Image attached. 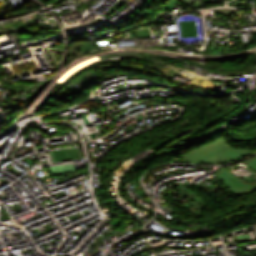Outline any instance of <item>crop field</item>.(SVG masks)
<instances>
[{
    "label": "crop field",
    "instance_id": "obj_2",
    "mask_svg": "<svg viewBox=\"0 0 256 256\" xmlns=\"http://www.w3.org/2000/svg\"><path fill=\"white\" fill-rule=\"evenodd\" d=\"M241 163L256 171V156ZM215 174L224 180L238 195L256 191V182L246 183L224 168Z\"/></svg>",
    "mask_w": 256,
    "mask_h": 256
},
{
    "label": "crop field",
    "instance_id": "obj_1",
    "mask_svg": "<svg viewBox=\"0 0 256 256\" xmlns=\"http://www.w3.org/2000/svg\"><path fill=\"white\" fill-rule=\"evenodd\" d=\"M249 150L234 149L220 138L183 154V159L191 163L219 164L241 159Z\"/></svg>",
    "mask_w": 256,
    "mask_h": 256
}]
</instances>
